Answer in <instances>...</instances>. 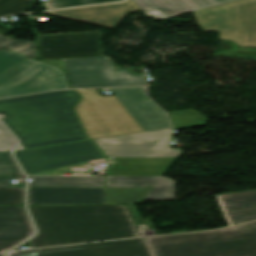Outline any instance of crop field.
<instances>
[{
	"mask_svg": "<svg viewBox=\"0 0 256 256\" xmlns=\"http://www.w3.org/2000/svg\"><path fill=\"white\" fill-rule=\"evenodd\" d=\"M80 96L56 91L0 100L1 118L25 149L87 139L72 108Z\"/></svg>",
	"mask_w": 256,
	"mask_h": 256,
	"instance_id": "obj_1",
	"label": "crop field"
},
{
	"mask_svg": "<svg viewBox=\"0 0 256 256\" xmlns=\"http://www.w3.org/2000/svg\"><path fill=\"white\" fill-rule=\"evenodd\" d=\"M28 208L39 231L33 248L139 236L124 205Z\"/></svg>",
	"mask_w": 256,
	"mask_h": 256,
	"instance_id": "obj_2",
	"label": "crop field"
},
{
	"mask_svg": "<svg viewBox=\"0 0 256 256\" xmlns=\"http://www.w3.org/2000/svg\"><path fill=\"white\" fill-rule=\"evenodd\" d=\"M146 239L153 256H256V222Z\"/></svg>",
	"mask_w": 256,
	"mask_h": 256,
	"instance_id": "obj_3",
	"label": "crop field"
},
{
	"mask_svg": "<svg viewBox=\"0 0 256 256\" xmlns=\"http://www.w3.org/2000/svg\"><path fill=\"white\" fill-rule=\"evenodd\" d=\"M203 32H220L219 40L256 48V0H240L194 12Z\"/></svg>",
	"mask_w": 256,
	"mask_h": 256,
	"instance_id": "obj_4",
	"label": "crop field"
},
{
	"mask_svg": "<svg viewBox=\"0 0 256 256\" xmlns=\"http://www.w3.org/2000/svg\"><path fill=\"white\" fill-rule=\"evenodd\" d=\"M83 98L75 111L91 139L143 131L115 96L76 90Z\"/></svg>",
	"mask_w": 256,
	"mask_h": 256,
	"instance_id": "obj_5",
	"label": "crop field"
},
{
	"mask_svg": "<svg viewBox=\"0 0 256 256\" xmlns=\"http://www.w3.org/2000/svg\"><path fill=\"white\" fill-rule=\"evenodd\" d=\"M61 67L68 75L72 88L145 85L143 74L132 75L108 57L45 61ZM91 67V69H88Z\"/></svg>",
	"mask_w": 256,
	"mask_h": 256,
	"instance_id": "obj_6",
	"label": "crop field"
},
{
	"mask_svg": "<svg viewBox=\"0 0 256 256\" xmlns=\"http://www.w3.org/2000/svg\"><path fill=\"white\" fill-rule=\"evenodd\" d=\"M69 88L62 71L29 58L0 74V97Z\"/></svg>",
	"mask_w": 256,
	"mask_h": 256,
	"instance_id": "obj_7",
	"label": "crop field"
},
{
	"mask_svg": "<svg viewBox=\"0 0 256 256\" xmlns=\"http://www.w3.org/2000/svg\"><path fill=\"white\" fill-rule=\"evenodd\" d=\"M28 175L104 158L90 140L15 152Z\"/></svg>",
	"mask_w": 256,
	"mask_h": 256,
	"instance_id": "obj_8",
	"label": "crop field"
},
{
	"mask_svg": "<svg viewBox=\"0 0 256 256\" xmlns=\"http://www.w3.org/2000/svg\"><path fill=\"white\" fill-rule=\"evenodd\" d=\"M170 129L133 133L93 141L107 157H179L183 152L182 149L169 148Z\"/></svg>",
	"mask_w": 256,
	"mask_h": 256,
	"instance_id": "obj_9",
	"label": "crop field"
},
{
	"mask_svg": "<svg viewBox=\"0 0 256 256\" xmlns=\"http://www.w3.org/2000/svg\"><path fill=\"white\" fill-rule=\"evenodd\" d=\"M100 32L38 35L40 60L105 56Z\"/></svg>",
	"mask_w": 256,
	"mask_h": 256,
	"instance_id": "obj_10",
	"label": "crop field"
},
{
	"mask_svg": "<svg viewBox=\"0 0 256 256\" xmlns=\"http://www.w3.org/2000/svg\"><path fill=\"white\" fill-rule=\"evenodd\" d=\"M9 256H151L145 239L101 242L11 253Z\"/></svg>",
	"mask_w": 256,
	"mask_h": 256,
	"instance_id": "obj_11",
	"label": "crop field"
},
{
	"mask_svg": "<svg viewBox=\"0 0 256 256\" xmlns=\"http://www.w3.org/2000/svg\"><path fill=\"white\" fill-rule=\"evenodd\" d=\"M110 90L144 131L171 127L165 112L143 94L142 87ZM146 97L149 99L148 101L145 99Z\"/></svg>",
	"mask_w": 256,
	"mask_h": 256,
	"instance_id": "obj_12",
	"label": "crop field"
},
{
	"mask_svg": "<svg viewBox=\"0 0 256 256\" xmlns=\"http://www.w3.org/2000/svg\"><path fill=\"white\" fill-rule=\"evenodd\" d=\"M28 204H105V188H29Z\"/></svg>",
	"mask_w": 256,
	"mask_h": 256,
	"instance_id": "obj_13",
	"label": "crop field"
},
{
	"mask_svg": "<svg viewBox=\"0 0 256 256\" xmlns=\"http://www.w3.org/2000/svg\"><path fill=\"white\" fill-rule=\"evenodd\" d=\"M139 10L131 1L104 6L48 12L51 15L113 29L129 13Z\"/></svg>",
	"mask_w": 256,
	"mask_h": 256,
	"instance_id": "obj_14",
	"label": "crop field"
},
{
	"mask_svg": "<svg viewBox=\"0 0 256 256\" xmlns=\"http://www.w3.org/2000/svg\"><path fill=\"white\" fill-rule=\"evenodd\" d=\"M33 234L24 206H0V252H8Z\"/></svg>",
	"mask_w": 256,
	"mask_h": 256,
	"instance_id": "obj_15",
	"label": "crop field"
},
{
	"mask_svg": "<svg viewBox=\"0 0 256 256\" xmlns=\"http://www.w3.org/2000/svg\"><path fill=\"white\" fill-rule=\"evenodd\" d=\"M147 16L159 20L237 0H131Z\"/></svg>",
	"mask_w": 256,
	"mask_h": 256,
	"instance_id": "obj_16",
	"label": "crop field"
},
{
	"mask_svg": "<svg viewBox=\"0 0 256 256\" xmlns=\"http://www.w3.org/2000/svg\"><path fill=\"white\" fill-rule=\"evenodd\" d=\"M108 159V176H162L175 158Z\"/></svg>",
	"mask_w": 256,
	"mask_h": 256,
	"instance_id": "obj_17",
	"label": "crop field"
},
{
	"mask_svg": "<svg viewBox=\"0 0 256 256\" xmlns=\"http://www.w3.org/2000/svg\"><path fill=\"white\" fill-rule=\"evenodd\" d=\"M107 187H153L144 199H176V182L165 177H107Z\"/></svg>",
	"mask_w": 256,
	"mask_h": 256,
	"instance_id": "obj_18",
	"label": "crop field"
},
{
	"mask_svg": "<svg viewBox=\"0 0 256 256\" xmlns=\"http://www.w3.org/2000/svg\"><path fill=\"white\" fill-rule=\"evenodd\" d=\"M29 187H105V177H28Z\"/></svg>",
	"mask_w": 256,
	"mask_h": 256,
	"instance_id": "obj_19",
	"label": "crop field"
},
{
	"mask_svg": "<svg viewBox=\"0 0 256 256\" xmlns=\"http://www.w3.org/2000/svg\"><path fill=\"white\" fill-rule=\"evenodd\" d=\"M151 188H107V204L140 203Z\"/></svg>",
	"mask_w": 256,
	"mask_h": 256,
	"instance_id": "obj_20",
	"label": "crop field"
},
{
	"mask_svg": "<svg viewBox=\"0 0 256 256\" xmlns=\"http://www.w3.org/2000/svg\"><path fill=\"white\" fill-rule=\"evenodd\" d=\"M221 209L256 206V191L216 195Z\"/></svg>",
	"mask_w": 256,
	"mask_h": 256,
	"instance_id": "obj_21",
	"label": "crop field"
},
{
	"mask_svg": "<svg viewBox=\"0 0 256 256\" xmlns=\"http://www.w3.org/2000/svg\"><path fill=\"white\" fill-rule=\"evenodd\" d=\"M2 49H7L30 58L38 57L37 46L35 42L13 40L11 38L0 35V50Z\"/></svg>",
	"mask_w": 256,
	"mask_h": 256,
	"instance_id": "obj_22",
	"label": "crop field"
},
{
	"mask_svg": "<svg viewBox=\"0 0 256 256\" xmlns=\"http://www.w3.org/2000/svg\"><path fill=\"white\" fill-rule=\"evenodd\" d=\"M169 115L174 127L204 123L208 122L209 120L208 118L193 109L171 112L169 113Z\"/></svg>",
	"mask_w": 256,
	"mask_h": 256,
	"instance_id": "obj_23",
	"label": "crop field"
},
{
	"mask_svg": "<svg viewBox=\"0 0 256 256\" xmlns=\"http://www.w3.org/2000/svg\"><path fill=\"white\" fill-rule=\"evenodd\" d=\"M222 211L229 226L256 220V207Z\"/></svg>",
	"mask_w": 256,
	"mask_h": 256,
	"instance_id": "obj_24",
	"label": "crop field"
},
{
	"mask_svg": "<svg viewBox=\"0 0 256 256\" xmlns=\"http://www.w3.org/2000/svg\"><path fill=\"white\" fill-rule=\"evenodd\" d=\"M35 0H0V16L27 12Z\"/></svg>",
	"mask_w": 256,
	"mask_h": 256,
	"instance_id": "obj_25",
	"label": "crop field"
},
{
	"mask_svg": "<svg viewBox=\"0 0 256 256\" xmlns=\"http://www.w3.org/2000/svg\"><path fill=\"white\" fill-rule=\"evenodd\" d=\"M25 189L0 188V205H24Z\"/></svg>",
	"mask_w": 256,
	"mask_h": 256,
	"instance_id": "obj_26",
	"label": "crop field"
},
{
	"mask_svg": "<svg viewBox=\"0 0 256 256\" xmlns=\"http://www.w3.org/2000/svg\"><path fill=\"white\" fill-rule=\"evenodd\" d=\"M122 0H47L43 2L46 10H53L71 6L87 5V4H96L104 2H115Z\"/></svg>",
	"mask_w": 256,
	"mask_h": 256,
	"instance_id": "obj_27",
	"label": "crop field"
},
{
	"mask_svg": "<svg viewBox=\"0 0 256 256\" xmlns=\"http://www.w3.org/2000/svg\"><path fill=\"white\" fill-rule=\"evenodd\" d=\"M0 176H22L10 152H0Z\"/></svg>",
	"mask_w": 256,
	"mask_h": 256,
	"instance_id": "obj_28",
	"label": "crop field"
},
{
	"mask_svg": "<svg viewBox=\"0 0 256 256\" xmlns=\"http://www.w3.org/2000/svg\"><path fill=\"white\" fill-rule=\"evenodd\" d=\"M25 58L26 57L12 53L7 50L0 51V73Z\"/></svg>",
	"mask_w": 256,
	"mask_h": 256,
	"instance_id": "obj_29",
	"label": "crop field"
},
{
	"mask_svg": "<svg viewBox=\"0 0 256 256\" xmlns=\"http://www.w3.org/2000/svg\"><path fill=\"white\" fill-rule=\"evenodd\" d=\"M16 145V140L0 123V151H11Z\"/></svg>",
	"mask_w": 256,
	"mask_h": 256,
	"instance_id": "obj_30",
	"label": "crop field"
},
{
	"mask_svg": "<svg viewBox=\"0 0 256 256\" xmlns=\"http://www.w3.org/2000/svg\"><path fill=\"white\" fill-rule=\"evenodd\" d=\"M136 226L138 225H141V224H144V225H147L148 226V229L147 230H150V229H154L153 225H152V222L150 219H147V220H142L137 208L135 205H126ZM155 230V229H154Z\"/></svg>",
	"mask_w": 256,
	"mask_h": 256,
	"instance_id": "obj_31",
	"label": "crop field"
},
{
	"mask_svg": "<svg viewBox=\"0 0 256 256\" xmlns=\"http://www.w3.org/2000/svg\"><path fill=\"white\" fill-rule=\"evenodd\" d=\"M13 177H0V187H10Z\"/></svg>",
	"mask_w": 256,
	"mask_h": 256,
	"instance_id": "obj_32",
	"label": "crop field"
},
{
	"mask_svg": "<svg viewBox=\"0 0 256 256\" xmlns=\"http://www.w3.org/2000/svg\"><path fill=\"white\" fill-rule=\"evenodd\" d=\"M206 124H207V123H204V124H197V125H191V126H184V127H177V128H174L173 130L182 129V128H188V127L201 126V125H206Z\"/></svg>",
	"mask_w": 256,
	"mask_h": 256,
	"instance_id": "obj_33",
	"label": "crop field"
},
{
	"mask_svg": "<svg viewBox=\"0 0 256 256\" xmlns=\"http://www.w3.org/2000/svg\"><path fill=\"white\" fill-rule=\"evenodd\" d=\"M20 147V146H19ZM24 148L21 146L20 148L16 149L15 151L17 150H23Z\"/></svg>",
	"mask_w": 256,
	"mask_h": 256,
	"instance_id": "obj_34",
	"label": "crop field"
},
{
	"mask_svg": "<svg viewBox=\"0 0 256 256\" xmlns=\"http://www.w3.org/2000/svg\"><path fill=\"white\" fill-rule=\"evenodd\" d=\"M0 256H5V254H0Z\"/></svg>",
	"mask_w": 256,
	"mask_h": 256,
	"instance_id": "obj_35",
	"label": "crop field"
}]
</instances>
